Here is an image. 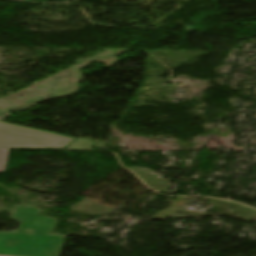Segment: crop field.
Returning <instances> with one entry per match:
<instances>
[{"mask_svg": "<svg viewBox=\"0 0 256 256\" xmlns=\"http://www.w3.org/2000/svg\"><path fill=\"white\" fill-rule=\"evenodd\" d=\"M21 241H13V240H6L5 246L13 247L15 244L20 243Z\"/></svg>", "mask_w": 256, "mask_h": 256, "instance_id": "crop-field-4", "label": "crop field"}, {"mask_svg": "<svg viewBox=\"0 0 256 256\" xmlns=\"http://www.w3.org/2000/svg\"><path fill=\"white\" fill-rule=\"evenodd\" d=\"M75 138L0 121V147L65 148Z\"/></svg>", "mask_w": 256, "mask_h": 256, "instance_id": "crop-field-2", "label": "crop field"}, {"mask_svg": "<svg viewBox=\"0 0 256 256\" xmlns=\"http://www.w3.org/2000/svg\"><path fill=\"white\" fill-rule=\"evenodd\" d=\"M39 208L16 205L10 219L21 222L16 233H0V255L59 256L65 236L49 235L55 219L38 215ZM5 239L22 240L14 248Z\"/></svg>", "mask_w": 256, "mask_h": 256, "instance_id": "crop-field-1", "label": "crop field"}, {"mask_svg": "<svg viewBox=\"0 0 256 256\" xmlns=\"http://www.w3.org/2000/svg\"><path fill=\"white\" fill-rule=\"evenodd\" d=\"M9 149H0V172H4Z\"/></svg>", "mask_w": 256, "mask_h": 256, "instance_id": "crop-field-3", "label": "crop field"}]
</instances>
